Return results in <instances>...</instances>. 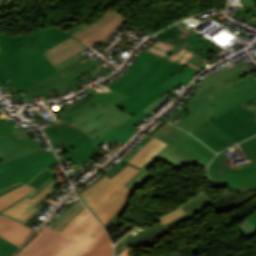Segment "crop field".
I'll return each mask as SVG.
<instances>
[{"instance_id": "425ffa30", "label": "crop field", "mask_w": 256, "mask_h": 256, "mask_svg": "<svg viewBox=\"0 0 256 256\" xmlns=\"http://www.w3.org/2000/svg\"><path fill=\"white\" fill-rule=\"evenodd\" d=\"M9 79H7L1 72H0V83L5 82Z\"/></svg>"}, {"instance_id": "750c4746", "label": "crop field", "mask_w": 256, "mask_h": 256, "mask_svg": "<svg viewBox=\"0 0 256 256\" xmlns=\"http://www.w3.org/2000/svg\"><path fill=\"white\" fill-rule=\"evenodd\" d=\"M198 72H199L198 69L190 67L179 75L177 73L174 74L170 79L165 81L159 87L168 91L174 86H176L177 84H179L180 82H183L187 85L188 82L191 80V78Z\"/></svg>"}, {"instance_id": "dbb93151", "label": "crop field", "mask_w": 256, "mask_h": 256, "mask_svg": "<svg viewBox=\"0 0 256 256\" xmlns=\"http://www.w3.org/2000/svg\"><path fill=\"white\" fill-rule=\"evenodd\" d=\"M237 65H239L240 67L241 66H243L244 64H245V62H243V61H240V62H238V63H236Z\"/></svg>"}, {"instance_id": "d8731c3e", "label": "crop field", "mask_w": 256, "mask_h": 256, "mask_svg": "<svg viewBox=\"0 0 256 256\" xmlns=\"http://www.w3.org/2000/svg\"><path fill=\"white\" fill-rule=\"evenodd\" d=\"M190 32L180 24H177L155 35L160 39L145 50V52L204 70L208 68L207 65L209 63L180 46Z\"/></svg>"}, {"instance_id": "412701ff", "label": "crop field", "mask_w": 256, "mask_h": 256, "mask_svg": "<svg viewBox=\"0 0 256 256\" xmlns=\"http://www.w3.org/2000/svg\"><path fill=\"white\" fill-rule=\"evenodd\" d=\"M71 36L53 25L27 35L6 37L0 33V71L10 79L47 58L42 52Z\"/></svg>"}, {"instance_id": "4a817a6b", "label": "crop field", "mask_w": 256, "mask_h": 256, "mask_svg": "<svg viewBox=\"0 0 256 256\" xmlns=\"http://www.w3.org/2000/svg\"><path fill=\"white\" fill-rule=\"evenodd\" d=\"M57 163L55 156L42 160L24 170L14 172L6 177L0 178V190L19 181L25 184L30 181L38 172L47 166Z\"/></svg>"}, {"instance_id": "89e229c0", "label": "crop field", "mask_w": 256, "mask_h": 256, "mask_svg": "<svg viewBox=\"0 0 256 256\" xmlns=\"http://www.w3.org/2000/svg\"><path fill=\"white\" fill-rule=\"evenodd\" d=\"M81 27H78V28H75V29H72V30H70V31H68L67 33H72V32H74V31H76V30H78V29H80Z\"/></svg>"}, {"instance_id": "d9b57169", "label": "crop field", "mask_w": 256, "mask_h": 256, "mask_svg": "<svg viewBox=\"0 0 256 256\" xmlns=\"http://www.w3.org/2000/svg\"><path fill=\"white\" fill-rule=\"evenodd\" d=\"M56 71L58 70L52 65V63L47 58L42 62L29 68L27 71L19 75L11 82L14 83L20 89L25 90L33 84L50 76Z\"/></svg>"}, {"instance_id": "5866460e", "label": "crop field", "mask_w": 256, "mask_h": 256, "mask_svg": "<svg viewBox=\"0 0 256 256\" xmlns=\"http://www.w3.org/2000/svg\"><path fill=\"white\" fill-rule=\"evenodd\" d=\"M80 66H82V64L73 56L55 67L64 75Z\"/></svg>"}, {"instance_id": "f4fd0767", "label": "crop field", "mask_w": 256, "mask_h": 256, "mask_svg": "<svg viewBox=\"0 0 256 256\" xmlns=\"http://www.w3.org/2000/svg\"><path fill=\"white\" fill-rule=\"evenodd\" d=\"M141 171L127 163L113 176L103 175L79 192L78 196L105 227L129 202L135 190L126 185Z\"/></svg>"}, {"instance_id": "1d79db26", "label": "crop field", "mask_w": 256, "mask_h": 256, "mask_svg": "<svg viewBox=\"0 0 256 256\" xmlns=\"http://www.w3.org/2000/svg\"><path fill=\"white\" fill-rule=\"evenodd\" d=\"M5 0H0V7L2 6V4H3V2H4ZM5 3V2H4Z\"/></svg>"}, {"instance_id": "5d738f31", "label": "crop field", "mask_w": 256, "mask_h": 256, "mask_svg": "<svg viewBox=\"0 0 256 256\" xmlns=\"http://www.w3.org/2000/svg\"><path fill=\"white\" fill-rule=\"evenodd\" d=\"M162 100V98L159 101H155L152 104H150L148 107H146L145 109H143L144 111L149 112L152 108H154L160 101Z\"/></svg>"}, {"instance_id": "447ae74e", "label": "crop field", "mask_w": 256, "mask_h": 256, "mask_svg": "<svg viewBox=\"0 0 256 256\" xmlns=\"http://www.w3.org/2000/svg\"><path fill=\"white\" fill-rule=\"evenodd\" d=\"M217 47H218V46H216V45L214 46V48H215L216 50H219Z\"/></svg>"}, {"instance_id": "0bd39190", "label": "crop field", "mask_w": 256, "mask_h": 256, "mask_svg": "<svg viewBox=\"0 0 256 256\" xmlns=\"http://www.w3.org/2000/svg\"><path fill=\"white\" fill-rule=\"evenodd\" d=\"M234 13L237 14L238 18H244L245 20L249 21L250 23L254 24L256 22V14L247 11L243 8L238 9Z\"/></svg>"}, {"instance_id": "a9b5d70f", "label": "crop field", "mask_w": 256, "mask_h": 256, "mask_svg": "<svg viewBox=\"0 0 256 256\" xmlns=\"http://www.w3.org/2000/svg\"><path fill=\"white\" fill-rule=\"evenodd\" d=\"M127 18L117 15L109 23H107L103 28L94 33L93 35L87 37L86 39L80 41L88 47L92 48L93 46L99 44L104 39L109 37L119 26L126 22Z\"/></svg>"}, {"instance_id": "5a996713", "label": "crop field", "mask_w": 256, "mask_h": 256, "mask_svg": "<svg viewBox=\"0 0 256 256\" xmlns=\"http://www.w3.org/2000/svg\"><path fill=\"white\" fill-rule=\"evenodd\" d=\"M243 106L248 110H243ZM209 120L239 143L256 134V97L243 102L217 119L211 115Z\"/></svg>"}, {"instance_id": "92a150f3", "label": "crop field", "mask_w": 256, "mask_h": 256, "mask_svg": "<svg viewBox=\"0 0 256 256\" xmlns=\"http://www.w3.org/2000/svg\"><path fill=\"white\" fill-rule=\"evenodd\" d=\"M86 48L88 47L71 37L43 53L50 59V61L55 66L58 63L64 61L65 59Z\"/></svg>"}, {"instance_id": "028f5c9d", "label": "crop field", "mask_w": 256, "mask_h": 256, "mask_svg": "<svg viewBox=\"0 0 256 256\" xmlns=\"http://www.w3.org/2000/svg\"><path fill=\"white\" fill-rule=\"evenodd\" d=\"M236 227L249 239L256 234V227L247 218Z\"/></svg>"}, {"instance_id": "d1516ede", "label": "crop field", "mask_w": 256, "mask_h": 256, "mask_svg": "<svg viewBox=\"0 0 256 256\" xmlns=\"http://www.w3.org/2000/svg\"><path fill=\"white\" fill-rule=\"evenodd\" d=\"M99 64L92 61L83 67L63 76L59 71L54 73L48 78H44L45 80L33 85L28 88L29 91H26V94L29 99V103H33L32 97L45 96L49 95L51 90H56L58 93L70 89L67 82L81 76L80 74L92 70L97 67Z\"/></svg>"}, {"instance_id": "0765c3eb", "label": "crop field", "mask_w": 256, "mask_h": 256, "mask_svg": "<svg viewBox=\"0 0 256 256\" xmlns=\"http://www.w3.org/2000/svg\"><path fill=\"white\" fill-rule=\"evenodd\" d=\"M252 53V52H251ZM253 56V58H255V56L253 54H251Z\"/></svg>"}, {"instance_id": "c21b1889", "label": "crop field", "mask_w": 256, "mask_h": 256, "mask_svg": "<svg viewBox=\"0 0 256 256\" xmlns=\"http://www.w3.org/2000/svg\"><path fill=\"white\" fill-rule=\"evenodd\" d=\"M243 4H245V7L252 9L256 11V3L253 0H240Z\"/></svg>"}, {"instance_id": "dafd665d", "label": "crop field", "mask_w": 256, "mask_h": 256, "mask_svg": "<svg viewBox=\"0 0 256 256\" xmlns=\"http://www.w3.org/2000/svg\"><path fill=\"white\" fill-rule=\"evenodd\" d=\"M32 230L4 217H0V237L21 246Z\"/></svg>"}, {"instance_id": "5142ce71", "label": "crop field", "mask_w": 256, "mask_h": 256, "mask_svg": "<svg viewBox=\"0 0 256 256\" xmlns=\"http://www.w3.org/2000/svg\"><path fill=\"white\" fill-rule=\"evenodd\" d=\"M233 193L256 189V167L222 172Z\"/></svg>"}, {"instance_id": "4177f3b9", "label": "crop field", "mask_w": 256, "mask_h": 256, "mask_svg": "<svg viewBox=\"0 0 256 256\" xmlns=\"http://www.w3.org/2000/svg\"><path fill=\"white\" fill-rule=\"evenodd\" d=\"M210 198L206 196L204 193L200 194L181 208L185 210L187 213L166 223L164 225L165 228H169L171 226H174L180 222H183L189 218H192L196 213L200 212L203 208H205L209 202Z\"/></svg>"}, {"instance_id": "0fb4a251", "label": "crop field", "mask_w": 256, "mask_h": 256, "mask_svg": "<svg viewBox=\"0 0 256 256\" xmlns=\"http://www.w3.org/2000/svg\"><path fill=\"white\" fill-rule=\"evenodd\" d=\"M68 85H69V87H70V88H72V87L76 86V85H74V84H73V83H71V82H70V83H68Z\"/></svg>"}, {"instance_id": "bd1437ed", "label": "crop field", "mask_w": 256, "mask_h": 256, "mask_svg": "<svg viewBox=\"0 0 256 256\" xmlns=\"http://www.w3.org/2000/svg\"><path fill=\"white\" fill-rule=\"evenodd\" d=\"M32 189L33 188L24 184L23 186L1 196L0 197V210L15 203L17 200H19L21 197H23L25 194H27Z\"/></svg>"}, {"instance_id": "214f88e0", "label": "crop field", "mask_w": 256, "mask_h": 256, "mask_svg": "<svg viewBox=\"0 0 256 256\" xmlns=\"http://www.w3.org/2000/svg\"><path fill=\"white\" fill-rule=\"evenodd\" d=\"M54 155L52 150L38 153L37 150L0 164V177L24 169L35 162Z\"/></svg>"}, {"instance_id": "cbeb9de0", "label": "crop field", "mask_w": 256, "mask_h": 256, "mask_svg": "<svg viewBox=\"0 0 256 256\" xmlns=\"http://www.w3.org/2000/svg\"><path fill=\"white\" fill-rule=\"evenodd\" d=\"M39 147H41L40 143L30 137L17 141L14 133L0 136V161L3 162Z\"/></svg>"}, {"instance_id": "28ad6ade", "label": "crop field", "mask_w": 256, "mask_h": 256, "mask_svg": "<svg viewBox=\"0 0 256 256\" xmlns=\"http://www.w3.org/2000/svg\"><path fill=\"white\" fill-rule=\"evenodd\" d=\"M240 146L251 162L232 166L225 152H221L207 169L213 187L227 186L226 180L220 171L256 166V136L240 143Z\"/></svg>"}, {"instance_id": "db79e9e6", "label": "crop field", "mask_w": 256, "mask_h": 256, "mask_svg": "<svg viewBox=\"0 0 256 256\" xmlns=\"http://www.w3.org/2000/svg\"><path fill=\"white\" fill-rule=\"evenodd\" d=\"M245 8V7H244ZM247 9V8H246ZM249 10V9H248ZM251 11V10H250ZM252 12H254V11H252ZM254 13H256V12H254Z\"/></svg>"}, {"instance_id": "d32e631a", "label": "crop field", "mask_w": 256, "mask_h": 256, "mask_svg": "<svg viewBox=\"0 0 256 256\" xmlns=\"http://www.w3.org/2000/svg\"><path fill=\"white\" fill-rule=\"evenodd\" d=\"M189 42L190 44L196 46L197 48L201 49L204 52H209L215 44L210 42L209 40L205 39L198 33L192 30L191 34L189 37L185 40Z\"/></svg>"}, {"instance_id": "3316defc", "label": "crop field", "mask_w": 256, "mask_h": 256, "mask_svg": "<svg viewBox=\"0 0 256 256\" xmlns=\"http://www.w3.org/2000/svg\"><path fill=\"white\" fill-rule=\"evenodd\" d=\"M65 181H67V179L59 183L53 178L30 199L24 196L15 204L0 211V215H4L10 219L26 225L34 216H36L42 210V208H39L37 206L56 190L54 188L55 186Z\"/></svg>"}, {"instance_id": "73cf0c24", "label": "crop field", "mask_w": 256, "mask_h": 256, "mask_svg": "<svg viewBox=\"0 0 256 256\" xmlns=\"http://www.w3.org/2000/svg\"><path fill=\"white\" fill-rule=\"evenodd\" d=\"M119 256H128L127 249L125 251H123Z\"/></svg>"}, {"instance_id": "9d1cf04e", "label": "crop field", "mask_w": 256, "mask_h": 256, "mask_svg": "<svg viewBox=\"0 0 256 256\" xmlns=\"http://www.w3.org/2000/svg\"><path fill=\"white\" fill-rule=\"evenodd\" d=\"M190 86L194 87V88L197 89V90H198V88H199V87H196V85H194V84H192V85H190Z\"/></svg>"}, {"instance_id": "1f2cbd36", "label": "crop field", "mask_w": 256, "mask_h": 256, "mask_svg": "<svg viewBox=\"0 0 256 256\" xmlns=\"http://www.w3.org/2000/svg\"><path fill=\"white\" fill-rule=\"evenodd\" d=\"M188 68V66H185V67H183L181 70H179L177 73L179 74V73H181L182 71H184L185 69H187Z\"/></svg>"}, {"instance_id": "ac0d7876", "label": "crop field", "mask_w": 256, "mask_h": 256, "mask_svg": "<svg viewBox=\"0 0 256 256\" xmlns=\"http://www.w3.org/2000/svg\"><path fill=\"white\" fill-rule=\"evenodd\" d=\"M86 95L90 96L94 100L75 111L57 116L59 119L69 121L84 131L73 139L62 144L66 148L71 146L75 151L60 159L61 162L68 158L72 159L76 163L81 160L84 162L90 160L95 156L93 153L100 149L99 147L91 144V141L95 140L113 127L115 129L118 128L134 117L113 104L128 96L110 90L96 96L91 92Z\"/></svg>"}, {"instance_id": "120bbe31", "label": "crop field", "mask_w": 256, "mask_h": 256, "mask_svg": "<svg viewBox=\"0 0 256 256\" xmlns=\"http://www.w3.org/2000/svg\"><path fill=\"white\" fill-rule=\"evenodd\" d=\"M237 68H239L237 65L236 66H234L232 69H230V70H227V69H222V70H220V71H218V72H216V73H214V74H210V75H208L207 77H205V78H203L202 80H200V81H202V82H204L205 84L204 85H202L201 87H200V89L196 92V94L192 97V98H194V97H196V96H198L200 93H202L204 90H206L208 87H210L211 85H213L215 82H217L219 79H221L223 76H225L226 74H228L229 72H231V71H233V70H235V69H237ZM180 99H182V100H185V101H187L188 102V100H186V99H184V98H180Z\"/></svg>"}, {"instance_id": "03da06ac", "label": "crop field", "mask_w": 256, "mask_h": 256, "mask_svg": "<svg viewBox=\"0 0 256 256\" xmlns=\"http://www.w3.org/2000/svg\"><path fill=\"white\" fill-rule=\"evenodd\" d=\"M91 100H93V99L88 98V99H86V100L80 102L79 104H77V105H75V106H73V107H71V108H69V109H67V110L61 111V112H59V113H60V114H63V113H67V112H69V111H72V110L76 109L77 107H79V106H81V105H83V104H85V103H87V102H89V101H91Z\"/></svg>"}, {"instance_id": "8a807250", "label": "crop field", "mask_w": 256, "mask_h": 256, "mask_svg": "<svg viewBox=\"0 0 256 256\" xmlns=\"http://www.w3.org/2000/svg\"><path fill=\"white\" fill-rule=\"evenodd\" d=\"M53 230L43 226L37 236L16 256H78L86 252L104 233L79 199L60 219H49Z\"/></svg>"}, {"instance_id": "25e5ab78", "label": "crop field", "mask_w": 256, "mask_h": 256, "mask_svg": "<svg viewBox=\"0 0 256 256\" xmlns=\"http://www.w3.org/2000/svg\"><path fill=\"white\" fill-rule=\"evenodd\" d=\"M256 226V214L249 219Z\"/></svg>"}, {"instance_id": "1d83c4d3", "label": "crop field", "mask_w": 256, "mask_h": 256, "mask_svg": "<svg viewBox=\"0 0 256 256\" xmlns=\"http://www.w3.org/2000/svg\"><path fill=\"white\" fill-rule=\"evenodd\" d=\"M56 175L50 170V168H46L37 174L27 185L33 187L34 189L29 192L26 196L31 197L35 192H37L44 184H46L50 179L55 177Z\"/></svg>"}, {"instance_id": "730fd06b", "label": "crop field", "mask_w": 256, "mask_h": 256, "mask_svg": "<svg viewBox=\"0 0 256 256\" xmlns=\"http://www.w3.org/2000/svg\"><path fill=\"white\" fill-rule=\"evenodd\" d=\"M166 145L167 144L154 137L128 162L141 167Z\"/></svg>"}, {"instance_id": "00972430", "label": "crop field", "mask_w": 256, "mask_h": 256, "mask_svg": "<svg viewBox=\"0 0 256 256\" xmlns=\"http://www.w3.org/2000/svg\"><path fill=\"white\" fill-rule=\"evenodd\" d=\"M147 114V112L141 111L134 118L126 122L124 125L119 127L118 129H111L104 135L100 136L97 140L93 141L94 144H99L101 141L111 136L123 143H125L137 130L130 128L132 125L136 124L139 120L143 119Z\"/></svg>"}, {"instance_id": "b80d0937", "label": "crop field", "mask_w": 256, "mask_h": 256, "mask_svg": "<svg viewBox=\"0 0 256 256\" xmlns=\"http://www.w3.org/2000/svg\"><path fill=\"white\" fill-rule=\"evenodd\" d=\"M184 213H186V212L183 211L181 208H179V209H177V210H175V211H173V212L163 216L162 218L159 219V221L162 224H164V223H166V222H168V221H170V220H172V219H174V218H176V217H178V216H180V215H182Z\"/></svg>"}, {"instance_id": "c035e120", "label": "crop field", "mask_w": 256, "mask_h": 256, "mask_svg": "<svg viewBox=\"0 0 256 256\" xmlns=\"http://www.w3.org/2000/svg\"><path fill=\"white\" fill-rule=\"evenodd\" d=\"M8 133H12L10 126L7 124V122L5 120L1 121L0 122V135H4V134H8Z\"/></svg>"}, {"instance_id": "bc2a9ffb", "label": "crop field", "mask_w": 256, "mask_h": 256, "mask_svg": "<svg viewBox=\"0 0 256 256\" xmlns=\"http://www.w3.org/2000/svg\"><path fill=\"white\" fill-rule=\"evenodd\" d=\"M52 126L44 128L53 147H57L72 137L83 132L71 123L62 120L50 122Z\"/></svg>"}, {"instance_id": "d23c7cc5", "label": "crop field", "mask_w": 256, "mask_h": 256, "mask_svg": "<svg viewBox=\"0 0 256 256\" xmlns=\"http://www.w3.org/2000/svg\"><path fill=\"white\" fill-rule=\"evenodd\" d=\"M84 168H86V167H84V166H82V165L79 166L77 169H75V170L71 171L70 173H68L69 177L72 176V175H74L75 173H77V172L83 170Z\"/></svg>"}, {"instance_id": "dd49c442", "label": "crop field", "mask_w": 256, "mask_h": 256, "mask_svg": "<svg viewBox=\"0 0 256 256\" xmlns=\"http://www.w3.org/2000/svg\"><path fill=\"white\" fill-rule=\"evenodd\" d=\"M249 72L251 71L243 66L240 69L226 75L198 97L192 99L184 107L171 114L164 120L169 122L171 119L187 109L191 113L178 122L176 126L190 133L193 132L208 119L212 111V105L235 90L227 84Z\"/></svg>"}, {"instance_id": "34b2d1b8", "label": "crop field", "mask_w": 256, "mask_h": 256, "mask_svg": "<svg viewBox=\"0 0 256 256\" xmlns=\"http://www.w3.org/2000/svg\"><path fill=\"white\" fill-rule=\"evenodd\" d=\"M183 66L143 52L126 75L107 87L130 96L115 105L135 116L166 92L158 86Z\"/></svg>"}, {"instance_id": "ae1a2a85", "label": "crop field", "mask_w": 256, "mask_h": 256, "mask_svg": "<svg viewBox=\"0 0 256 256\" xmlns=\"http://www.w3.org/2000/svg\"><path fill=\"white\" fill-rule=\"evenodd\" d=\"M116 15H117V13L110 10L107 14H105L100 20H98L94 24H92L88 27H85L71 35H73L75 38H77L80 41V40L86 38L87 36L93 34L97 30H99L101 27H103L107 22H109Z\"/></svg>"}, {"instance_id": "d3111659", "label": "crop field", "mask_w": 256, "mask_h": 256, "mask_svg": "<svg viewBox=\"0 0 256 256\" xmlns=\"http://www.w3.org/2000/svg\"><path fill=\"white\" fill-rule=\"evenodd\" d=\"M181 144H183L185 147H187L193 153L197 154L198 156L204 158L205 160H207L209 162L215 155L214 152H212L210 149H208L206 146H204L202 143H200L198 140H196L191 135L186 140H184Z\"/></svg>"}, {"instance_id": "e52e79f7", "label": "crop field", "mask_w": 256, "mask_h": 256, "mask_svg": "<svg viewBox=\"0 0 256 256\" xmlns=\"http://www.w3.org/2000/svg\"><path fill=\"white\" fill-rule=\"evenodd\" d=\"M237 90L229 94L213 106L212 115L216 118L239 105L243 101L256 96V80L251 81L243 86L236 88ZM198 139L204 142L215 152L236 144L232 139L225 135L209 120L201 125L193 133Z\"/></svg>"}, {"instance_id": "eef30255", "label": "crop field", "mask_w": 256, "mask_h": 256, "mask_svg": "<svg viewBox=\"0 0 256 256\" xmlns=\"http://www.w3.org/2000/svg\"><path fill=\"white\" fill-rule=\"evenodd\" d=\"M113 247L106 233L85 253L80 256H112Z\"/></svg>"}, {"instance_id": "b54c1fbb", "label": "crop field", "mask_w": 256, "mask_h": 256, "mask_svg": "<svg viewBox=\"0 0 256 256\" xmlns=\"http://www.w3.org/2000/svg\"><path fill=\"white\" fill-rule=\"evenodd\" d=\"M21 185H23V183L19 182L17 184H14V185H12V186H10L8 188H5V189L1 190L0 191V196L5 194V193H7V192H9V191H11V190H13V189H15V188H17V187H19V186H21Z\"/></svg>"}, {"instance_id": "22f410ed", "label": "crop field", "mask_w": 256, "mask_h": 256, "mask_svg": "<svg viewBox=\"0 0 256 256\" xmlns=\"http://www.w3.org/2000/svg\"><path fill=\"white\" fill-rule=\"evenodd\" d=\"M176 127V126H175ZM169 124H164L160 129H158L154 135L155 137L159 138L163 142L173 146L174 148L171 150L178 155L184 157L185 159L195 162L203 167H206L209 162L205 161L204 159L198 157L197 155L190 152L188 149H186L184 146H182L180 143L189 136V134L175 128Z\"/></svg>"}, {"instance_id": "733c2abd", "label": "crop field", "mask_w": 256, "mask_h": 256, "mask_svg": "<svg viewBox=\"0 0 256 256\" xmlns=\"http://www.w3.org/2000/svg\"><path fill=\"white\" fill-rule=\"evenodd\" d=\"M172 147L166 146L162 151H160L156 156H154L150 161H148L144 166L141 168L144 169L136 178H134L128 186L137 189L143 186L154 174L146 171L153 163L161 159L162 157L165 158L170 163L180 167L184 165L193 164L184 158L178 156L177 154L171 152L170 150Z\"/></svg>"}, {"instance_id": "e1f06a70", "label": "crop field", "mask_w": 256, "mask_h": 256, "mask_svg": "<svg viewBox=\"0 0 256 256\" xmlns=\"http://www.w3.org/2000/svg\"><path fill=\"white\" fill-rule=\"evenodd\" d=\"M18 247L0 238V256H10Z\"/></svg>"}]
</instances>
